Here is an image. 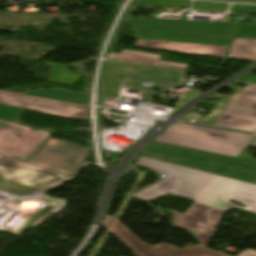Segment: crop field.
Listing matches in <instances>:
<instances>
[{
  "instance_id": "crop-field-1",
  "label": "crop field",
  "mask_w": 256,
  "mask_h": 256,
  "mask_svg": "<svg viewBox=\"0 0 256 256\" xmlns=\"http://www.w3.org/2000/svg\"><path fill=\"white\" fill-rule=\"evenodd\" d=\"M136 164L149 167L160 174L167 175L156 185L136 195L148 201L172 194L193 199L220 210L238 208L256 213V186L207 174L204 172L148 159L140 158ZM236 200L247 208L232 205L228 200Z\"/></svg>"
},
{
  "instance_id": "crop-field-2",
  "label": "crop field",
  "mask_w": 256,
  "mask_h": 256,
  "mask_svg": "<svg viewBox=\"0 0 256 256\" xmlns=\"http://www.w3.org/2000/svg\"><path fill=\"white\" fill-rule=\"evenodd\" d=\"M140 155L256 183V162L151 140Z\"/></svg>"
},
{
  "instance_id": "crop-field-3",
  "label": "crop field",
  "mask_w": 256,
  "mask_h": 256,
  "mask_svg": "<svg viewBox=\"0 0 256 256\" xmlns=\"http://www.w3.org/2000/svg\"><path fill=\"white\" fill-rule=\"evenodd\" d=\"M253 138L254 135L174 122L153 139L236 157Z\"/></svg>"
},
{
  "instance_id": "crop-field-4",
  "label": "crop field",
  "mask_w": 256,
  "mask_h": 256,
  "mask_svg": "<svg viewBox=\"0 0 256 256\" xmlns=\"http://www.w3.org/2000/svg\"><path fill=\"white\" fill-rule=\"evenodd\" d=\"M67 179L69 178L11 158L0 164V188L19 195L31 188L44 192Z\"/></svg>"
},
{
  "instance_id": "crop-field-5",
  "label": "crop field",
  "mask_w": 256,
  "mask_h": 256,
  "mask_svg": "<svg viewBox=\"0 0 256 256\" xmlns=\"http://www.w3.org/2000/svg\"><path fill=\"white\" fill-rule=\"evenodd\" d=\"M226 86L234 90L232 95L213 93L207 97L230 100L214 125L256 132V86L248 85L246 88H238L230 84Z\"/></svg>"
},
{
  "instance_id": "crop-field-6",
  "label": "crop field",
  "mask_w": 256,
  "mask_h": 256,
  "mask_svg": "<svg viewBox=\"0 0 256 256\" xmlns=\"http://www.w3.org/2000/svg\"><path fill=\"white\" fill-rule=\"evenodd\" d=\"M87 154L86 148L50 137L26 162L72 176Z\"/></svg>"
},
{
  "instance_id": "crop-field-7",
  "label": "crop field",
  "mask_w": 256,
  "mask_h": 256,
  "mask_svg": "<svg viewBox=\"0 0 256 256\" xmlns=\"http://www.w3.org/2000/svg\"><path fill=\"white\" fill-rule=\"evenodd\" d=\"M137 39L153 40L156 30L229 36L232 23L127 18Z\"/></svg>"
},
{
  "instance_id": "crop-field-8",
  "label": "crop field",
  "mask_w": 256,
  "mask_h": 256,
  "mask_svg": "<svg viewBox=\"0 0 256 256\" xmlns=\"http://www.w3.org/2000/svg\"><path fill=\"white\" fill-rule=\"evenodd\" d=\"M103 226L132 249L136 256H225L199 246L191 250H181L165 243L151 247L110 216H107Z\"/></svg>"
},
{
  "instance_id": "crop-field-9",
  "label": "crop field",
  "mask_w": 256,
  "mask_h": 256,
  "mask_svg": "<svg viewBox=\"0 0 256 256\" xmlns=\"http://www.w3.org/2000/svg\"><path fill=\"white\" fill-rule=\"evenodd\" d=\"M49 135L48 132L0 120V153L25 160Z\"/></svg>"
},
{
  "instance_id": "crop-field-10",
  "label": "crop field",
  "mask_w": 256,
  "mask_h": 256,
  "mask_svg": "<svg viewBox=\"0 0 256 256\" xmlns=\"http://www.w3.org/2000/svg\"><path fill=\"white\" fill-rule=\"evenodd\" d=\"M225 212L194 203L184 213L171 210L173 225L191 230L208 247Z\"/></svg>"
},
{
  "instance_id": "crop-field-11",
  "label": "crop field",
  "mask_w": 256,
  "mask_h": 256,
  "mask_svg": "<svg viewBox=\"0 0 256 256\" xmlns=\"http://www.w3.org/2000/svg\"><path fill=\"white\" fill-rule=\"evenodd\" d=\"M0 103L66 117L88 119L87 106L33 97L20 93L0 91Z\"/></svg>"
},
{
  "instance_id": "crop-field-12",
  "label": "crop field",
  "mask_w": 256,
  "mask_h": 256,
  "mask_svg": "<svg viewBox=\"0 0 256 256\" xmlns=\"http://www.w3.org/2000/svg\"><path fill=\"white\" fill-rule=\"evenodd\" d=\"M136 47L160 49L167 51L191 53L205 56H213L223 58L227 47L223 46H212V45H202V44H191V43H180V42H170V41H144L138 40L134 44Z\"/></svg>"
},
{
  "instance_id": "crop-field-13",
  "label": "crop field",
  "mask_w": 256,
  "mask_h": 256,
  "mask_svg": "<svg viewBox=\"0 0 256 256\" xmlns=\"http://www.w3.org/2000/svg\"><path fill=\"white\" fill-rule=\"evenodd\" d=\"M154 39L212 44V45H223V46H228L230 41L229 37H223V36H210V35H198V34L162 32V31H157Z\"/></svg>"
},
{
  "instance_id": "crop-field-14",
  "label": "crop field",
  "mask_w": 256,
  "mask_h": 256,
  "mask_svg": "<svg viewBox=\"0 0 256 256\" xmlns=\"http://www.w3.org/2000/svg\"><path fill=\"white\" fill-rule=\"evenodd\" d=\"M107 58L114 59V60H122V61H131V62H139V63H148V64H156V65H164V66H172V67H181L187 68L188 65L167 62V61H158L161 56L147 54V53H140L128 50H121L119 55L115 54H107Z\"/></svg>"
},
{
  "instance_id": "crop-field-15",
  "label": "crop field",
  "mask_w": 256,
  "mask_h": 256,
  "mask_svg": "<svg viewBox=\"0 0 256 256\" xmlns=\"http://www.w3.org/2000/svg\"><path fill=\"white\" fill-rule=\"evenodd\" d=\"M227 58L256 61V40L235 38Z\"/></svg>"
},
{
  "instance_id": "crop-field-16",
  "label": "crop field",
  "mask_w": 256,
  "mask_h": 256,
  "mask_svg": "<svg viewBox=\"0 0 256 256\" xmlns=\"http://www.w3.org/2000/svg\"><path fill=\"white\" fill-rule=\"evenodd\" d=\"M24 94L34 95L39 97L51 98L78 104H87L88 95L56 90V89H39L34 91L23 92Z\"/></svg>"
},
{
  "instance_id": "crop-field-17",
  "label": "crop field",
  "mask_w": 256,
  "mask_h": 256,
  "mask_svg": "<svg viewBox=\"0 0 256 256\" xmlns=\"http://www.w3.org/2000/svg\"><path fill=\"white\" fill-rule=\"evenodd\" d=\"M62 65H54L48 81L72 84L79 76L63 69Z\"/></svg>"
},
{
  "instance_id": "crop-field-18",
  "label": "crop field",
  "mask_w": 256,
  "mask_h": 256,
  "mask_svg": "<svg viewBox=\"0 0 256 256\" xmlns=\"http://www.w3.org/2000/svg\"><path fill=\"white\" fill-rule=\"evenodd\" d=\"M232 36L256 38V24L236 23Z\"/></svg>"
},
{
  "instance_id": "crop-field-19",
  "label": "crop field",
  "mask_w": 256,
  "mask_h": 256,
  "mask_svg": "<svg viewBox=\"0 0 256 256\" xmlns=\"http://www.w3.org/2000/svg\"><path fill=\"white\" fill-rule=\"evenodd\" d=\"M190 1L177 0H137L131 4H146V5H172V6H189Z\"/></svg>"
},
{
  "instance_id": "crop-field-20",
  "label": "crop field",
  "mask_w": 256,
  "mask_h": 256,
  "mask_svg": "<svg viewBox=\"0 0 256 256\" xmlns=\"http://www.w3.org/2000/svg\"><path fill=\"white\" fill-rule=\"evenodd\" d=\"M22 110V108L0 104V119L12 122Z\"/></svg>"
},
{
  "instance_id": "crop-field-21",
  "label": "crop field",
  "mask_w": 256,
  "mask_h": 256,
  "mask_svg": "<svg viewBox=\"0 0 256 256\" xmlns=\"http://www.w3.org/2000/svg\"><path fill=\"white\" fill-rule=\"evenodd\" d=\"M231 11L256 13V6L232 5Z\"/></svg>"
},
{
  "instance_id": "crop-field-22",
  "label": "crop field",
  "mask_w": 256,
  "mask_h": 256,
  "mask_svg": "<svg viewBox=\"0 0 256 256\" xmlns=\"http://www.w3.org/2000/svg\"><path fill=\"white\" fill-rule=\"evenodd\" d=\"M236 80L256 84V74L247 73Z\"/></svg>"
},
{
  "instance_id": "crop-field-23",
  "label": "crop field",
  "mask_w": 256,
  "mask_h": 256,
  "mask_svg": "<svg viewBox=\"0 0 256 256\" xmlns=\"http://www.w3.org/2000/svg\"><path fill=\"white\" fill-rule=\"evenodd\" d=\"M239 256H256V251L251 249H246Z\"/></svg>"
},
{
  "instance_id": "crop-field-24",
  "label": "crop field",
  "mask_w": 256,
  "mask_h": 256,
  "mask_svg": "<svg viewBox=\"0 0 256 256\" xmlns=\"http://www.w3.org/2000/svg\"><path fill=\"white\" fill-rule=\"evenodd\" d=\"M7 159H8V157H4V156H1V155H0V163L3 162V161H5V160H7Z\"/></svg>"
},
{
  "instance_id": "crop-field-25",
  "label": "crop field",
  "mask_w": 256,
  "mask_h": 256,
  "mask_svg": "<svg viewBox=\"0 0 256 256\" xmlns=\"http://www.w3.org/2000/svg\"><path fill=\"white\" fill-rule=\"evenodd\" d=\"M249 145L256 146V139L253 142H251Z\"/></svg>"
},
{
  "instance_id": "crop-field-26",
  "label": "crop field",
  "mask_w": 256,
  "mask_h": 256,
  "mask_svg": "<svg viewBox=\"0 0 256 256\" xmlns=\"http://www.w3.org/2000/svg\"><path fill=\"white\" fill-rule=\"evenodd\" d=\"M242 1H254V2H256V0H242Z\"/></svg>"
}]
</instances>
